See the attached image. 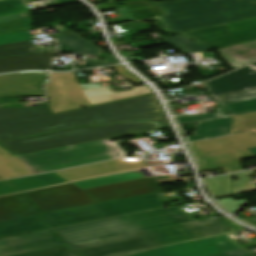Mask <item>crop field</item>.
<instances>
[{
    "instance_id": "crop-field-10",
    "label": "crop field",
    "mask_w": 256,
    "mask_h": 256,
    "mask_svg": "<svg viewBox=\"0 0 256 256\" xmlns=\"http://www.w3.org/2000/svg\"><path fill=\"white\" fill-rule=\"evenodd\" d=\"M239 246L226 235L158 248L130 256H208L256 246V240Z\"/></svg>"
},
{
    "instance_id": "crop-field-32",
    "label": "crop field",
    "mask_w": 256,
    "mask_h": 256,
    "mask_svg": "<svg viewBox=\"0 0 256 256\" xmlns=\"http://www.w3.org/2000/svg\"><path fill=\"white\" fill-rule=\"evenodd\" d=\"M133 120H154V121L160 123L164 127L169 126V123H168L167 119H165L162 111L149 113V114H145V115H140V116H136V117H131V118H126V119H120V120H115V121H110V122L88 125V126H100V125H105V124L118 123V122H124V121H133Z\"/></svg>"
},
{
    "instance_id": "crop-field-34",
    "label": "crop field",
    "mask_w": 256,
    "mask_h": 256,
    "mask_svg": "<svg viewBox=\"0 0 256 256\" xmlns=\"http://www.w3.org/2000/svg\"><path fill=\"white\" fill-rule=\"evenodd\" d=\"M18 256H79L65 246L18 255Z\"/></svg>"
},
{
    "instance_id": "crop-field-30",
    "label": "crop field",
    "mask_w": 256,
    "mask_h": 256,
    "mask_svg": "<svg viewBox=\"0 0 256 256\" xmlns=\"http://www.w3.org/2000/svg\"><path fill=\"white\" fill-rule=\"evenodd\" d=\"M234 118L235 123L230 134L247 130L256 133V113L235 116Z\"/></svg>"
},
{
    "instance_id": "crop-field-18",
    "label": "crop field",
    "mask_w": 256,
    "mask_h": 256,
    "mask_svg": "<svg viewBox=\"0 0 256 256\" xmlns=\"http://www.w3.org/2000/svg\"><path fill=\"white\" fill-rule=\"evenodd\" d=\"M54 56H56L55 51L1 58L0 73L30 69L48 70L50 67L51 58Z\"/></svg>"
},
{
    "instance_id": "crop-field-27",
    "label": "crop field",
    "mask_w": 256,
    "mask_h": 256,
    "mask_svg": "<svg viewBox=\"0 0 256 256\" xmlns=\"http://www.w3.org/2000/svg\"><path fill=\"white\" fill-rule=\"evenodd\" d=\"M231 116L256 112V97L241 101H224L219 102Z\"/></svg>"
},
{
    "instance_id": "crop-field-45",
    "label": "crop field",
    "mask_w": 256,
    "mask_h": 256,
    "mask_svg": "<svg viewBox=\"0 0 256 256\" xmlns=\"http://www.w3.org/2000/svg\"><path fill=\"white\" fill-rule=\"evenodd\" d=\"M250 152H252L256 156V148H250L248 149Z\"/></svg>"
},
{
    "instance_id": "crop-field-12",
    "label": "crop field",
    "mask_w": 256,
    "mask_h": 256,
    "mask_svg": "<svg viewBox=\"0 0 256 256\" xmlns=\"http://www.w3.org/2000/svg\"><path fill=\"white\" fill-rule=\"evenodd\" d=\"M192 177L156 181L154 177L85 190L99 202H109L161 191L158 183L188 180Z\"/></svg>"
},
{
    "instance_id": "crop-field-42",
    "label": "crop field",
    "mask_w": 256,
    "mask_h": 256,
    "mask_svg": "<svg viewBox=\"0 0 256 256\" xmlns=\"http://www.w3.org/2000/svg\"><path fill=\"white\" fill-rule=\"evenodd\" d=\"M54 1H55L56 4H52L50 6L65 4V3H71V2H77L78 0H54Z\"/></svg>"
},
{
    "instance_id": "crop-field-35",
    "label": "crop field",
    "mask_w": 256,
    "mask_h": 256,
    "mask_svg": "<svg viewBox=\"0 0 256 256\" xmlns=\"http://www.w3.org/2000/svg\"><path fill=\"white\" fill-rule=\"evenodd\" d=\"M214 198L228 196L231 193V181L206 185Z\"/></svg>"
},
{
    "instance_id": "crop-field-11",
    "label": "crop field",
    "mask_w": 256,
    "mask_h": 256,
    "mask_svg": "<svg viewBox=\"0 0 256 256\" xmlns=\"http://www.w3.org/2000/svg\"><path fill=\"white\" fill-rule=\"evenodd\" d=\"M50 80L51 82L46 85V93L52 113L91 105L79 87L73 73H50Z\"/></svg>"
},
{
    "instance_id": "crop-field-8",
    "label": "crop field",
    "mask_w": 256,
    "mask_h": 256,
    "mask_svg": "<svg viewBox=\"0 0 256 256\" xmlns=\"http://www.w3.org/2000/svg\"><path fill=\"white\" fill-rule=\"evenodd\" d=\"M210 48L226 47L256 39V18L181 33Z\"/></svg>"
},
{
    "instance_id": "crop-field-20",
    "label": "crop field",
    "mask_w": 256,
    "mask_h": 256,
    "mask_svg": "<svg viewBox=\"0 0 256 256\" xmlns=\"http://www.w3.org/2000/svg\"><path fill=\"white\" fill-rule=\"evenodd\" d=\"M40 215L0 223V237L49 229Z\"/></svg>"
},
{
    "instance_id": "crop-field-38",
    "label": "crop field",
    "mask_w": 256,
    "mask_h": 256,
    "mask_svg": "<svg viewBox=\"0 0 256 256\" xmlns=\"http://www.w3.org/2000/svg\"><path fill=\"white\" fill-rule=\"evenodd\" d=\"M254 96H256V90H250V91H245V92L214 96L213 99L217 102L223 101V100L233 101V100H240V99L254 97Z\"/></svg>"
},
{
    "instance_id": "crop-field-13",
    "label": "crop field",
    "mask_w": 256,
    "mask_h": 256,
    "mask_svg": "<svg viewBox=\"0 0 256 256\" xmlns=\"http://www.w3.org/2000/svg\"><path fill=\"white\" fill-rule=\"evenodd\" d=\"M47 82L45 72H25L0 75V96L42 97V85Z\"/></svg>"
},
{
    "instance_id": "crop-field-16",
    "label": "crop field",
    "mask_w": 256,
    "mask_h": 256,
    "mask_svg": "<svg viewBox=\"0 0 256 256\" xmlns=\"http://www.w3.org/2000/svg\"><path fill=\"white\" fill-rule=\"evenodd\" d=\"M145 166L146 165L144 164V162L139 157H136L131 159H118L102 162L86 167L58 171L57 173L66 178L67 180L73 181Z\"/></svg>"
},
{
    "instance_id": "crop-field-23",
    "label": "crop field",
    "mask_w": 256,
    "mask_h": 256,
    "mask_svg": "<svg viewBox=\"0 0 256 256\" xmlns=\"http://www.w3.org/2000/svg\"><path fill=\"white\" fill-rule=\"evenodd\" d=\"M59 44L60 52H76L98 56L102 51L91 42L77 36L74 33L54 37Z\"/></svg>"
},
{
    "instance_id": "crop-field-5",
    "label": "crop field",
    "mask_w": 256,
    "mask_h": 256,
    "mask_svg": "<svg viewBox=\"0 0 256 256\" xmlns=\"http://www.w3.org/2000/svg\"><path fill=\"white\" fill-rule=\"evenodd\" d=\"M67 114L49 107L0 108V142L68 129Z\"/></svg>"
},
{
    "instance_id": "crop-field-4",
    "label": "crop field",
    "mask_w": 256,
    "mask_h": 256,
    "mask_svg": "<svg viewBox=\"0 0 256 256\" xmlns=\"http://www.w3.org/2000/svg\"><path fill=\"white\" fill-rule=\"evenodd\" d=\"M155 122H124L105 127L80 128L1 143L15 156L39 152L59 147L106 140L136 133L162 129Z\"/></svg>"
},
{
    "instance_id": "crop-field-33",
    "label": "crop field",
    "mask_w": 256,
    "mask_h": 256,
    "mask_svg": "<svg viewBox=\"0 0 256 256\" xmlns=\"http://www.w3.org/2000/svg\"><path fill=\"white\" fill-rule=\"evenodd\" d=\"M225 117L227 116L222 112V110L217 109L215 113L199 115V116L183 115V116H178L177 119L180 125H183V124H189V123H195V122H201V121H207V120H213V119H219V118H225Z\"/></svg>"
},
{
    "instance_id": "crop-field-9",
    "label": "crop field",
    "mask_w": 256,
    "mask_h": 256,
    "mask_svg": "<svg viewBox=\"0 0 256 256\" xmlns=\"http://www.w3.org/2000/svg\"><path fill=\"white\" fill-rule=\"evenodd\" d=\"M41 214L99 204L97 200L74 185H62L25 193Z\"/></svg>"
},
{
    "instance_id": "crop-field-40",
    "label": "crop field",
    "mask_w": 256,
    "mask_h": 256,
    "mask_svg": "<svg viewBox=\"0 0 256 256\" xmlns=\"http://www.w3.org/2000/svg\"><path fill=\"white\" fill-rule=\"evenodd\" d=\"M214 256H254V255L251 254L246 249H244V250H240V251L224 253V254H219V255H214Z\"/></svg>"
},
{
    "instance_id": "crop-field-21",
    "label": "crop field",
    "mask_w": 256,
    "mask_h": 256,
    "mask_svg": "<svg viewBox=\"0 0 256 256\" xmlns=\"http://www.w3.org/2000/svg\"><path fill=\"white\" fill-rule=\"evenodd\" d=\"M217 51L221 52L223 57L236 68L256 60V40L217 49Z\"/></svg>"
},
{
    "instance_id": "crop-field-24",
    "label": "crop field",
    "mask_w": 256,
    "mask_h": 256,
    "mask_svg": "<svg viewBox=\"0 0 256 256\" xmlns=\"http://www.w3.org/2000/svg\"><path fill=\"white\" fill-rule=\"evenodd\" d=\"M32 174L18 159L0 148V177L3 179Z\"/></svg>"
},
{
    "instance_id": "crop-field-43",
    "label": "crop field",
    "mask_w": 256,
    "mask_h": 256,
    "mask_svg": "<svg viewBox=\"0 0 256 256\" xmlns=\"http://www.w3.org/2000/svg\"><path fill=\"white\" fill-rule=\"evenodd\" d=\"M243 220H244L245 222H247V223L253 225V226H256V222H255L254 220H252L251 217L245 218V219H243Z\"/></svg>"
},
{
    "instance_id": "crop-field-6",
    "label": "crop field",
    "mask_w": 256,
    "mask_h": 256,
    "mask_svg": "<svg viewBox=\"0 0 256 256\" xmlns=\"http://www.w3.org/2000/svg\"><path fill=\"white\" fill-rule=\"evenodd\" d=\"M165 201L161 192L94 205L57 213L46 214L53 227L160 208Z\"/></svg>"
},
{
    "instance_id": "crop-field-1",
    "label": "crop field",
    "mask_w": 256,
    "mask_h": 256,
    "mask_svg": "<svg viewBox=\"0 0 256 256\" xmlns=\"http://www.w3.org/2000/svg\"><path fill=\"white\" fill-rule=\"evenodd\" d=\"M244 228L219 216L194 222L69 245L82 256H122L147 248L228 233Z\"/></svg>"
},
{
    "instance_id": "crop-field-2",
    "label": "crop field",
    "mask_w": 256,
    "mask_h": 256,
    "mask_svg": "<svg viewBox=\"0 0 256 256\" xmlns=\"http://www.w3.org/2000/svg\"><path fill=\"white\" fill-rule=\"evenodd\" d=\"M165 15L153 17L166 32L179 33L256 17V0H183L154 3Z\"/></svg>"
},
{
    "instance_id": "crop-field-25",
    "label": "crop field",
    "mask_w": 256,
    "mask_h": 256,
    "mask_svg": "<svg viewBox=\"0 0 256 256\" xmlns=\"http://www.w3.org/2000/svg\"><path fill=\"white\" fill-rule=\"evenodd\" d=\"M232 123V117L197 123L195 135L207 137L225 135L229 133Z\"/></svg>"
},
{
    "instance_id": "crop-field-26",
    "label": "crop field",
    "mask_w": 256,
    "mask_h": 256,
    "mask_svg": "<svg viewBox=\"0 0 256 256\" xmlns=\"http://www.w3.org/2000/svg\"><path fill=\"white\" fill-rule=\"evenodd\" d=\"M253 172H243L238 173L234 175H227V176H221L217 178L207 179L204 180L206 184L209 183H215V182H221V181H227L230 180L231 176H236L239 180L232 181V194H239V193H245V192H251L256 191V187L253 184H256V181L254 183H250L251 181L245 176L247 174H251Z\"/></svg>"
},
{
    "instance_id": "crop-field-14",
    "label": "crop field",
    "mask_w": 256,
    "mask_h": 256,
    "mask_svg": "<svg viewBox=\"0 0 256 256\" xmlns=\"http://www.w3.org/2000/svg\"><path fill=\"white\" fill-rule=\"evenodd\" d=\"M63 244L52 230L0 240V256H13Z\"/></svg>"
},
{
    "instance_id": "crop-field-44",
    "label": "crop field",
    "mask_w": 256,
    "mask_h": 256,
    "mask_svg": "<svg viewBox=\"0 0 256 256\" xmlns=\"http://www.w3.org/2000/svg\"><path fill=\"white\" fill-rule=\"evenodd\" d=\"M189 139L191 141H195V140H201V139H205V138H201V137H189Z\"/></svg>"
},
{
    "instance_id": "crop-field-37",
    "label": "crop field",
    "mask_w": 256,
    "mask_h": 256,
    "mask_svg": "<svg viewBox=\"0 0 256 256\" xmlns=\"http://www.w3.org/2000/svg\"><path fill=\"white\" fill-rule=\"evenodd\" d=\"M217 202L221 206H223L227 211H229L230 213L239 212V210L242 209L240 206L250 204L248 201H244V200L234 201L232 198L224 199V200H218Z\"/></svg>"
},
{
    "instance_id": "crop-field-47",
    "label": "crop field",
    "mask_w": 256,
    "mask_h": 256,
    "mask_svg": "<svg viewBox=\"0 0 256 256\" xmlns=\"http://www.w3.org/2000/svg\"><path fill=\"white\" fill-rule=\"evenodd\" d=\"M2 179L0 178V181H1Z\"/></svg>"
},
{
    "instance_id": "crop-field-7",
    "label": "crop field",
    "mask_w": 256,
    "mask_h": 256,
    "mask_svg": "<svg viewBox=\"0 0 256 256\" xmlns=\"http://www.w3.org/2000/svg\"><path fill=\"white\" fill-rule=\"evenodd\" d=\"M155 95L127 101L101 105L92 108L67 112L70 126L79 127L88 124L136 116L162 110Z\"/></svg>"
},
{
    "instance_id": "crop-field-22",
    "label": "crop field",
    "mask_w": 256,
    "mask_h": 256,
    "mask_svg": "<svg viewBox=\"0 0 256 256\" xmlns=\"http://www.w3.org/2000/svg\"><path fill=\"white\" fill-rule=\"evenodd\" d=\"M235 153V152H234ZM233 152L200 157L198 159V170L224 169L225 173L243 170L238 158ZM200 163H203L202 165Z\"/></svg>"
},
{
    "instance_id": "crop-field-46",
    "label": "crop field",
    "mask_w": 256,
    "mask_h": 256,
    "mask_svg": "<svg viewBox=\"0 0 256 256\" xmlns=\"http://www.w3.org/2000/svg\"><path fill=\"white\" fill-rule=\"evenodd\" d=\"M136 175L138 176L139 179L145 178V176H144L142 173H138V174H136Z\"/></svg>"
},
{
    "instance_id": "crop-field-41",
    "label": "crop field",
    "mask_w": 256,
    "mask_h": 256,
    "mask_svg": "<svg viewBox=\"0 0 256 256\" xmlns=\"http://www.w3.org/2000/svg\"><path fill=\"white\" fill-rule=\"evenodd\" d=\"M23 17H25V13L19 14V15H14V16L2 17V18H0V22L12 20V19L23 18Z\"/></svg>"
},
{
    "instance_id": "crop-field-28",
    "label": "crop field",
    "mask_w": 256,
    "mask_h": 256,
    "mask_svg": "<svg viewBox=\"0 0 256 256\" xmlns=\"http://www.w3.org/2000/svg\"><path fill=\"white\" fill-rule=\"evenodd\" d=\"M162 40L163 42L167 43L168 45L172 46L183 54L211 50L201 45H198L180 35L164 38Z\"/></svg>"
},
{
    "instance_id": "crop-field-36",
    "label": "crop field",
    "mask_w": 256,
    "mask_h": 256,
    "mask_svg": "<svg viewBox=\"0 0 256 256\" xmlns=\"http://www.w3.org/2000/svg\"><path fill=\"white\" fill-rule=\"evenodd\" d=\"M32 36L29 32H18L0 36V45L11 44L16 42L32 40Z\"/></svg>"
},
{
    "instance_id": "crop-field-39",
    "label": "crop field",
    "mask_w": 256,
    "mask_h": 256,
    "mask_svg": "<svg viewBox=\"0 0 256 256\" xmlns=\"http://www.w3.org/2000/svg\"><path fill=\"white\" fill-rule=\"evenodd\" d=\"M115 63H119V61L115 56L111 58L103 59V60H95L89 57H85L84 65H79V67L80 68L97 67V66H104L107 64H115Z\"/></svg>"
},
{
    "instance_id": "crop-field-31",
    "label": "crop field",
    "mask_w": 256,
    "mask_h": 256,
    "mask_svg": "<svg viewBox=\"0 0 256 256\" xmlns=\"http://www.w3.org/2000/svg\"><path fill=\"white\" fill-rule=\"evenodd\" d=\"M34 53L30 41L0 46V58Z\"/></svg>"
},
{
    "instance_id": "crop-field-15",
    "label": "crop field",
    "mask_w": 256,
    "mask_h": 256,
    "mask_svg": "<svg viewBox=\"0 0 256 256\" xmlns=\"http://www.w3.org/2000/svg\"><path fill=\"white\" fill-rule=\"evenodd\" d=\"M210 96L256 88V63L204 84Z\"/></svg>"
},
{
    "instance_id": "crop-field-3",
    "label": "crop field",
    "mask_w": 256,
    "mask_h": 256,
    "mask_svg": "<svg viewBox=\"0 0 256 256\" xmlns=\"http://www.w3.org/2000/svg\"><path fill=\"white\" fill-rule=\"evenodd\" d=\"M183 209V208H182ZM180 206L56 229L66 245L192 221Z\"/></svg>"
},
{
    "instance_id": "crop-field-17",
    "label": "crop field",
    "mask_w": 256,
    "mask_h": 256,
    "mask_svg": "<svg viewBox=\"0 0 256 256\" xmlns=\"http://www.w3.org/2000/svg\"><path fill=\"white\" fill-rule=\"evenodd\" d=\"M256 147V134H236L216 140L192 144L196 157Z\"/></svg>"
},
{
    "instance_id": "crop-field-29",
    "label": "crop field",
    "mask_w": 256,
    "mask_h": 256,
    "mask_svg": "<svg viewBox=\"0 0 256 256\" xmlns=\"http://www.w3.org/2000/svg\"><path fill=\"white\" fill-rule=\"evenodd\" d=\"M28 11L30 9L23 0H0V17Z\"/></svg>"
},
{
    "instance_id": "crop-field-19",
    "label": "crop field",
    "mask_w": 256,
    "mask_h": 256,
    "mask_svg": "<svg viewBox=\"0 0 256 256\" xmlns=\"http://www.w3.org/2000/svg\"><path fill=\"white\" fill-rule=\"evenodd\" d=\"M37 214L21 193L0 197V222Z\"/></svg>"
}]
</instances>
